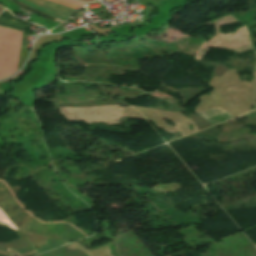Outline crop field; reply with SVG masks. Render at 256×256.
Listing matches in <instances>:
<instances>
[{"mask_svg": "<svg viewBox=\"0 0 256 256\" xmlns=\"http://www.w3.org/2000/svg\"><path fill=\"white\" fill-rule=\"evenodd\" d=\"M22 32L0 27V79L16 72Z\"/></svg>", "mask_w": 256, "mask_h": 256, "instance_id": "1", "label": "crop field"}, {"mask_svg": "<svg viewBox=\"0 0 256 256\" xmlns=\"http://www.w3.org/2000/svg\"><path fill=\"white\" fill-rule=\"evenodd\" d=\"M0 25L24 31L29 24L13 17L7 10L0 14Z\"/></svg>", "mask_w": 256, "mask_h": 256, "instance_id": "2", "label": "crop field"}, {"mask_svg": "<svg viewBox=\"0 0 256 256\" xmlns=\"http://www.w3.org/2000/svg\"><path fill=\"white\" fill-rule=\"evenodd\" d=\"M28 1H31L33 3L41 5L43 7H46V8H49L51 10H54L56 12H59V13L65 15V16H67V17H69L73 12H75V10H72V9H69V8H66V7L48 2V1H44V0H28Z\"/></svg>", "mask_w": 256, "mask_h": 256, "instance_id": "3", "label": "crop field"}, {"mask_svg": "<svg viewBox=\"0 0 256 256\" xmlns=\"http://www.w3.org/2000/svg\"><path fill=\"white\" fill-rule=\"evenodd\" d=\"M11 1H13L14 3H16V4H18V5H20V6H22L23 8H25V9H27V10H30V11H32L33 13H36V14H40V15H42V16H45V17H47V18H49V19H51V20H55V18H52V17H50V16H47V15H45V14H43V13H40V12H38V11H36V10H34V9H31V8H29V7H27V6H25V5H23V4H21V3H19V2H17L16 0H11Z\"/></svg>", "mask_w": 256, "mask_h": 256, "instance_id": "4", "label": "crop field"}, {"mask_svg": "<svg viewBox=\"0 0 256 256\" xmlns=\"http://www.w3.org/2000/svg\"><path fill=\"white\" fill-rule=\"evenodd\" d=\"M48 1H51V2H54V3H57V4H60V5H63V6H66V7H69V8H72V9H79L80 7H77V6H73V5H70V4H67V3H64V2H61V1H57V0H48Z\"/></svg>", "mask_w": 256, "mask_h": 256, "instance_id": "5", "label": "crop field"}, {"mask_svg": "<svg viewBox=\"0 0 256 256\" xmlns=\"http://www.w3.org/2000/svg\"><path fill=\"white\" fill-rule=\"evenodd\" d=\"M61 1H64V2H67V3H70V4H74V5H77V6H80V7H82L84 5L83 3H79V2H76V1H73V0H61Z\"/></svg>", "mask_w": 256, "mask_h": 256, "instance_id": "6", "label": "crop field"}, {"mask_svg": "<svg viewBox=\"0 0 256 256\" xmlns=\"http://www.w3.org/2000/svg\"><path fill=\"white\" fill-rule=\"evenodd\" d=\"M22 73H23V71L19 72L18 74L14 75L13 77H11L10 79H7V80H11V79H13V78L19 76V75L22 74ZM7 80H4V81H7ZM2 82H3V81H2Z\"/></svg>", "mask_w": 256, "mask_h": 256, "instance_id": "7", "label": "crop field"}, {"mask_svg": "<svg viewBox=\"0 0 256 256\" xmlns=\"http://www.w3.org/2000/svg\"><path fill=\"white\" fill-rule=\"evenodd\" d=\"M80 1H84V2H90V1H93V0H80Z\"/></svg>", "mask_w": 256, "mask_h": 256, "instance_id": "8", "label": "crop field"}, {"mask_svg": "<svg viewBox=\"0 0 256 256\" xmlns=\"http://www.w3.org/2000/svg\"><path fill=\"white\" fill-rule=\"evenodd\" d=\"M109 2H111V1H114V0H108Z\"/></svg>", "mask_w": 256, "mask_h": 256, "instance_id": "9", "label": "crop field"}]
</instances>
